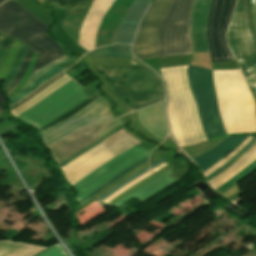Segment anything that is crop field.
Segmentation results:
<instances>
[{
    "label": "crop field",
    "mask_w": 256,
    "mask_h": 256,
    "mask_svg": "<svg viewBox=\"0 0 256 256\" xmlns=\"http://www.w3.org/2000/svg\"><path fill=\"white\" fill-rule=\"evenodd\" d=\"M109 111L108 106L99 98L69 117L60 125L42 134L47 147L86 126L96 118ZM114 119L110 111L96 119L86 127L51 146L52 156L58 164L87 147L97 139L100 128Z\"/></svg>",
    "instance_id": "obj_1"
},
{
    "label": "crop field",
    "mask_w": 256,
    "mask_h": 256,
    "mask_svg": "<svg viewBox=\"0 0 256 256\" xmlns=\"http://www.w3.org/2000/svg\"><path fill=\"white\" fill-rule=\"evenodd\" d=\"M179 68L183 67L164 68L160 69V71L168 90V99L165 108L168 129L172 138L180 145V147H182L203 142L205 140L202 139H206V136L202 129L196 104L189 88L187 68H184L180 69V78L184 93L189 102L194 125L202 141L199 140L196 133L191 119L187 99L182 90L179 78Z\"/></svg>",
    "instance_id": "obj_2"
},
{
    "label": "crop field",
    "mask_w": 256,
    "mask_h": 256,
    "mask_svg": "<svg viewBox=\"0 0 256 256\" xmlns=\"http://www.w3.org/2000/svg\"><path fill=\"white\" fill-rule=\"evenodd\" d=\"M0 31L24 41L39 54L32 73L64 55L61 47L47 35V26L12 0L0 6Z\"/></svg>",
    "instance_id": "obj_3"
},
{
    "label": "crop field",
    "mask_w": 256,
    "mask_h": 256,
    "mask_svg": "<svg viewBox=\"0 0 256 256\" xmlns=\"http://www.w3.org/2000/svg\"><path fill=\"white\" fill-rule=\"evenodd\" d=\"M104 69L120 97L127 96L126 78L129 100L134 110L164 99L165 91L159 77L147 66H117Z\"/></svg>",
    "instance_id": "obj_4"
},
{
    "label": "crop field",
    "mask_w": 256,
    "mask_h": 256,
    "mask_svg": "<svg viewBox=\"0 0 256 256\" xmlns=\"http://www.w3.org/2000/svg\"><path fill=\"white\" fill-rule=\"evenodd\" d=\"M252 0H238L227 40L256 100V36L251 18ZM231 51V52H232Z\"/></svg>",
    "instance_id": "obj_5"
},
{
    "label": "crop field",
    "mask_w": 256,
    "mask_h": 256,
    "mask_svg": "<svg viewBox=\"0 0 256 256\" xmlns=\"http://www.w3.org/2000/svg\"><path fill=\"white\" fill-rule=\"evenodd\" d=\"M193 0H173L158 31V56L192 54L190 12Z\"/></svg>",
    "instance_id": "obj_6"
},
{
    "label": "crop field",
    "mask_w": 256,
    "mask_h": 256,
    "mask_svg": "<svg viewBox=\"0 0 256 256\" xmlns=\"http://www.w3.org/2000/svg\"><path fill=\"white\" fill-rule=\"evenodd\" d=\"M140 143L123 129L62 167L65 178L74 185L116 155Z\"/></svg>",
    "instance_id": "obj_7"
},
{
    "label": "crop field",
    "mask_w": 256,
    "mask_h": 256,
    "mask_svg": "<svg viewBox=\"0 0 256 256\" xmlns=\"http://www.w3.org/2000/svg\"><path fill=\"white\" fill-rule=\"evenodd\" d=\"M188 77L208 139L226 136L217 105L212 70L190 65Z\"/></svg>",
    "instance_id": "obj_8"
},
{
    "label": "crop field",
    "mask_w": 256,
    "mask_h": 256,
    "mask_svg": "<svg viewBox=\"0 0 256 256\" xmlns=\"http://www.w3.org/2000/svg\"><path fill=\"white\" fill-rule=\"evenodd\" d=\"M85 98L82 88L72 80L17 117L39 129Z\"/></svg>",
    "instance_id": "obj_9"
},
{
    "label": "crop field",
    "mask_w": 256,
    "mask_h": 256,
    "mask_svg": "<svg viewBox=\"0 0 256 256\" xmlns=\"http://www.w3.org/2000/svg\"><path fill=\"white\" fill-rule=\"evenodd\" d=\"M235 0H213L208 20L207 40L211 61L234 60L227 46L226 28Z\"/></svg>",
    "instance_id": "obj_10"
},
{
    "label": "crop field",
    "mask_w": 256,
    "mask_h": 256,
    "mask_svg": "<svg viewBox=\"0 0 256 256\" xmlns=\"http://www.w3.org/2000/svg\"><path fill=\"white\" fill-rule=\"evenodd\" d=\"M149 152L148 149L133 147L99 167L74 185L79 193L77 200L80 201L115 175L145 158Z\"/></svg>",
    "instance_id": "obj_11"
},
{
    "label": "crop field",
    "mask_w": 256,
    "mask_h": 256,
    "mask_svg": "<svg viewBox=\"0 0 256 256\" xmlns=\"http://www.w3.org/2000/svg\"><path fill=\"white\" fill-rule=\"evenodd\" d=\"M171 0H154L147 10L133 44V51L138 58L157 56L156 35Z\"/></svg>",
    "instance_id": "obj_12"
},
{
    "label": "crop field",
    "mask_w": 256,
    "mask_h": 256,
    "mask_svg": "<svg viewBox=\"0 0 256 256\" xmlns=\"http://www.w3.org/2000/svg\"><path fill=\"white\" fill-rule=\"evenodd\" d=\"M212 0H196L191 18L194 52H209L206 40V25Z\"/></svg>",
    "instance_id": "obj_13"
},
{
    "label": "crop field",
    "mask_w": 256,
    "mask_h": 256,
    "mask_svg": "<svg viewBox=\"0 0 256 256\" xmlns=\"http://www.w3.org/2000/svg\"><path fill=\"white\" fill-rule=\"evenodd\" d=\"M150 1L135 0L117 31L115 43L131 44L137 24Z\"/></svg>",
    "instance_id": "obj_14"
},
{
    "label": "crop field",
    "mask_w": 256,
    "mask_h": 256,
    "mask_svg": "<svg viewBox=\"0 0 256 256\" xmlns=\"http://www.w3.org/2000/svg\"><path fill=\"white\" fill-rule=\"evenodd\" d=\"M248 137L246 135H235L232 136L220 144H218L212 150L193 158L192 160L202 169L206 171L208 168L213 166L219 160H221L225 155H227L231 150L240 145L243 140Z\"/></svg>",
    "instance_id": "obj_15"
},
{
    "label": "crop field",
    "mask_w": 256,
    "mask_h": 256,
    "mask_svg": "<svg viewBox=\"0 0 256 256\" xmlns=\"http://www.w3.org/2000/svg\"><path fill=\"white\" fill-rule=\"evenodd\" d=\"M164 101L137 112L140 123L160 139H164L166 128L162 105Z\"/></svg>",
    "instance_id": "obj_16"
},
{
    "label": "crop field",
    "mask_w": 256,
    "mask_h": 256,
    "mask_svg": "<svg viewBox=\"0 0 256 256\" xmlns=\"http://www.w3.org/2000/svg\"><path fill=\"white\" fill-rule=\"evenodd\" d=\"M171 173L172 172H170L168 170L167 172L157 176L153 180L149 181L148 183L144 184L137 190H135L132 193H130L129 195H127L125 198H123L122 200L117 202L115 205L118 206V205L122 204L125 200H127L133 196L138 198L141 201L146 199L150 195L156 193L157 191L161 190L162 188L166 187L167 185H169L170 183H172L176 180V179L168 176Z\"/></svg>",
    "instance_id": "obj_17"
},
{
    "label": "crop field",
    "mask_w": 256,
    "mask_h": 256,
    "mask_svg": "<svg viewBox=\"0 0 256 256\" xmlns=\"http://www.w3.org/2000/svg\"><path fill=\"white\" fill-rule=\"evenodd\" d=\"M44 248L0 241V256H34Z\"/></svg>",
    "instance_id": "obj_18"
},
{
    "label": "crop field",
    "mask_w": 256,
    "mask_h": 256,
    "mask_svg": "<svg viewBox=\"0 0 256 256\" xmlns=\"http://www.w3.org/2000/svg\"><path fill=\"white\" fill-rule=\"evenodd\" d=\"M70 80H72V79H70L66 75L61 77L60 79L56 80L52 84L48 85L46 88H44L41 92H39L36 96H34L29 101L25 102L24 104L18 106L15 109L11 110L12 114L15 116L21 114L22 112L26 111L27 109H29L30 107L35 105L37 102L42 100L44 97L49 95L51 92L56 90L58 87H60L61 85L65 84L66 82H68Z\"/></svg>",
    "instance_id": "obj_19"
},
{
    "label": "crop field",
    "mask_w": 256,
    "mask_h": 256,
    "mask_svg": "<svg viewBox=\"0 0 256 256\" xmlns=\"http://www.w3.org/2000/svg\"><path fill=\"white\" fill-rule=\"evenodd\" d=\"M71 60H73V59L70 58L69 60H67V61L63 62L62 64L56 66L55 68L49 70L44 75H42L40 78H38L37 80L32 82L26 89L22 90L20 93H18L17 95L13 96L12 98H10L11 104L12 105L15 104L16 102H18L19 100H21L22 98H24L25 96L30 94L32 91H34L35 89L40 87L46 81L51 79L53 76H55L59 72L63 71L64 69L60 68V67L64 66L65 64H67Z\"/></svg>",
    "instance_id": "obj_20"
},
{
    "label": "crop field",
    "mask_w": 256,
    "mask_h": 256,
    "mask_svg": "<svg viewBox=\"0 0 256 256\" xmlns=\"http://www.w3.org/2000/svg\"><path fill=\"white\" fill-rule=\"evenodd\" d=\"M255 149H256V146L254 148H252L246 155H244L239 161H237L232 167H230L224 173H222L221 175H219L216 178L209 181L210 184L214 186L213 188L215 189V188L219 187L222 183L229 180L231 177H233L235 174H237L240 170H242L244 167H246L249 163H251L253 160H255L256 159V150ZM251 152H253V153L251 155H249ZM245 157H247V158L244 159ZM237 164H239V165L234 170H232ZM229 171H231V172L229 174H227ZM225 174H227V175L225 177H223Z\"/></svg>",
    "instance_id": "obj_21"
},
{
    "label": "crop field",
    "mask_w": 256,
    "mask_h": 256,
    "mask_svg": "<svg viewBox=\"0 0 256 256\" xmlns=\"http://www.w3.org/2000/svg\"><path fill=\"white\" fill-rule=\"evenodd\" d=\"M92 55L115 57V58H131L130 46L112 45L89 52Z\"/></svg>",
    "instance_id": "obj_22"
},
{
    "label": "crop field",
    "mask_w": 256,
    "mask_h": 256,
    "mask_svg": "<svg viewBox=\"0 0 256 256\" xmlns=\"http://www.w3.org/2000/svg\"><path fill=\"white\" fill-rule=\"evenodd\" d=\"M27 48L28 47L24 43H22V45H21V47L19 49V52H18V54L16 56V59H15L13 65H12L8 75H7V78H6V80L4 81V83L1 86V90H2L3 93H5L7 91V89L9 88V86L11 84V82L13 81V79H14V77H15L18 69H19L21 60H22V58H23Z\"/></svg>",
    "instance_id": "obj_23"
},
{
    "label": "crop field",
    "mask_w": 256,
    "mask_h": 256,
    "mask_svg": "<svg viewBox=\"0 0 256 256\" xmlns=\"http://www.w3.org/2000/svg\"><path fill=\"white\" fill-rule=\"evenodd\" d=\"M256 145V138L253 137L246 145L245 147L236 154L233 158H231L228 162H226L224 165H222L220 168H218L216 171H214L212 174H210L207 178V180H211L215 176L219 175L226 169H228L230 166H232L237 160H239L245 153H247L252 147Z\"/></svg>",
    "instance_id": "obj_24"
},
{
    "label": "crop field",
    "mask_w": 256,
    "mask_h": 256,
    "mask_svg": "<svg viewBox=\"0 0 256 256\" xmlns=\"http://www.w3.org/2000/svg\"><path fill=\"white\" fill-rule=\"evenodd\" d=\"M98 93H94L91 96H89L87 99H85L84 101H82L81 103H79L77 106H75L73 109H71L70 111H68L67 113L63 114L62 116H60L59 118H57L56 120H54L53 122H51L50 124L46 125L45 127H43L42 129H40L41 133H44L45 131L49 130L50 128H52L53 126L63 122L65 119H67L69 116H71L72 114H74L75 112H77L78 110H80L81 108H83L84 106H86L87 104H89L90 102H92L93 100H95L98 97Z\"/></svg>",
    "instance_id": "obj_25"
},
{
    "label": "crop field",
    "mask_w": 256,
    "mask_h": 256,
    "mask_svg": "<svg viewBox=\"0 0 256 256\" xmlns=\"http://www.w3.org/2000/svg\"><path fill=\"white\" fill-rule=\"evenodd\" d=\"M21 41L15 39L9 53L7 54V56L5 57L4 61L2 62L1 66H0V80L5 79L14 59L15 56L18 52V49L21 45Z\"/></svg>",
    "instance_id": "obj_26"
},
{
    "label": "crop field",
    "mask_w": 256,
    "mask_h": 256,
    "mask_svg": "<svg viewBox=\"0 0 256 256\" xmlns=\"http://www.w3.org/2000/svg\"><path fill=\"white\" fill-rule=\"evenodd\" d=\"M254 170H256V160L252 162L250 165H248L246 168H244L241 172H239L236 176H234L232 179L227 181L225 184L220 186L219 188L215 189L220 194L229 189L231 186H233L235 183L252 173Z\"/></svg>",
    "instance_id": "obj_27"
},
{
    "label": "crop field",
    "mask_w": 256,
    "mask_h": 256,
    "mask_svg": "<svg viewBox=\"0 0 256 256\" xmlns=\"http://www.w3.org/2000/svg\"><path fill=\"white\" fill-rule=\"evenodd\" d=\"M34 51H32L31 49H28L27 53L25 54L23 60H22V63H21V66H20V69H19V72L16 76V78L14 79L11 87L8 89L7 91V95L12 92L21 82L27 68H28V65L30 63V60L32 58V55H33Z\"/></svg>",
    "instance_id": "obj_28"
},
{
    "label": "crop field",
    "mask_w": 256,
    "mask_h": 256,
    "mask_svg": "<svg viewBox=\"0 0 256 256\" xmlns=\"http://www.w3.org/2000/svg\"><path fill=\"white\" fill-rule=\"evenodd\" d=\"M50 3L59 7H68V10L75 8H89L92 0H49Z\"/></svg>",
    "instance_id": "obj_29"
},
{
    "label": "crop field",
    "mask_w": 256,
    "mask_h": 256,
    "mask_svg": "<svg viewBox=\"0 0 256 256\" xmlns=\"http://www.w3.org/2000/svg\"><path fill=\"white\" fill-rule=\"evenodd\" d=\"M169 168H171V166H166L164 168H162L161 170L155 172L154 174H152L151 176H149L148 178H146L145 180L131 186L130 188H128L127 190H125L123 193H121L119 196H117L115 199L111 200L110 202L107 203V205L111 206L114 203H116L117 201H119L120 199H122L124 196H126L127 194H129L130 192H132L133 190H135L136 188L140 187L141 185H143L144 183L148 182L149 180H151L152 178L156 177L157 175L161 174L162 172L168 170Z\"/></svg>",
    "instance_id": "obj_30"
},
{
    "label": "crop field",
    "mask_w": 256,
    "mask_h": 256,
    "mask_svg": "<svg viewBox=\"0 0 256 256\" xmlns=\"http://www.w3.org/2000/svg\"><path fill=\"white\" fill-rule=\"evenodd\" d=\"M148 166V162L138 166L137 168L133 169L132 171H130L129 173H127L126 175L122 176L121 178H119L118 180H116L115 182L111 183L110 185H108L106 188H104L101 192H99L96 196H94V198H99L100 196H102L103 194H105L107 191H109L111 188H113L115 185H117L118 183L122 182L123 180L127 179L128 177H130L131 175L135 174L136 172L140 171L141 169H143L144 167Z\"/></svg>",
    "instance_id": "obj_31"
},
{
    "label": "crop field",
    "mask_w": 256,
    "mask_h": 256,
    "mask_svg": "<svg viewBox=\"0 0 256 256\" xmlns=\"http://www.w3.org/2000/svg\"><path fill=\"white\" fill-rule=\"evenodd\" d=\"M148 160V157L141 160L140 162L136 163L135 165H133L132 167L128 168L127 170H125L124 172L120 173L119 175H117L116 177H114L113 179H111L110 181H108L107 183H105L104 185H102L101 187H99L98 189H96L95 191H93L91 194H89L87 197H85L80 204L82 205L83 203H85L87 200H89L91 197H93L96 193H98L100 190H102L104 187H106L108 184H110L111 182L115 181L116 179H118L119 177H121L122 175L126 174L127 172H129L130 170H132L133 168L137 167L138 165H140L141 163L145 162Z\"/></svg>",
    "instance_id": "obj_32"
},
{
    "label": "crop field",
    "mask_w": 256,
    "mask_h": 256,
    "mask_svg": "<svg viewBox=\"0 0 256 256\" xmlns=\"http://www.w3.org/2000/svg\"><path fill=\"white\" fill-rule=\"evenodd\" d=\"M69 58L63 56L62 58L44 66L43 68L39 69L37 72H35L33 75L30 76L29 80L27 81L26 85L24 86L27 87L33 80H35L37 77H39L41 74L45 73L46 71H48L49 69L55 67L56 65L62 63L63 61L67 60ZM23 88V89H24Z\"/></svg>",
    "instance_id": "obj_33"
},
{
    "label": "crop field",
    "mask_w": 256,
    "mask_h": 256,
    "mask_svg": "<svg viewBox=\"0 0 256 256\" xmlns=\"http://www.w3.org/2000/svg\"><path fill=\"white\" fill-rule=\"evenodd\" d=\"M251 137H248L234 152L223 158L220 162H218L216 165L211 167L209 170L204 172L205 176L209 175L212 173L214 170H216L218 167H220L222 164H224L226 161H228L231 157H233L237 152H239L242 147L250 140Z\"/></svg>",
    "instance_id": "obj_34"
},
{
    "label": "crop field",
    "mask_w": 256,
    "mask_h": 256,
    "mask_svg": "<svg viewBox=\"0 0 256 256\" xmlns=\"http://www.w3.org/2000/svg\"><path fill=\"white\" fill-rule=\"evenodd\" d=\"M37 55H38V54L34 53L33 58H32V60H31V63H30V65H29V68H28V70H27V73H26V75H25V77H24L22 83H21L12 93H10V94L8 95L9 98L12 97L13 95H15L16 93H18V92L22 89V87L25 85L26 81L28 80V78H29V76H30V74H31V71H32L33 65H34V63H35V60H36Z\"/></svg>",
    "instance_id": "obj_35"
},
{
    "label": "crop field",
    "mask_w": 256,
    "mask_h": 256,
    "mask_svg": "<svg viewBox=\"0 0 256 256\" xmlns=\"http://www.w3.org/2000/svg\"><path fill=\"white\" fill-rule=\"evenodd\" d=\"M150 170L149 166L146 167L145 169L141 170L140 172L136 173L135 175L131 176L130 178H128L127 180L123 181L122 183L118 184L116 187H114L112 190H110L108 193H106L104 196H102L100 199L98 200H103L104 198H106L107 196H109L111 193H113L114 191H116L117 189H119L120 187H122L123 185H125L126 183H128L129 181L133 180L134 178H136L137 176L141 175L142 173L146 172Z\"/></svg>",
    "instance_id": "obj_36"
},
{
    "label": "crop field",
    "mask_w": 256,
    "mask_h": 256,
    "mask_svg": "<svg viewBox=\"0 0 256 256\" xmlns=\"http://www.w3.org/2000/svg\"><path fill=\"white\" fill-rule=\"evenodd\" d=\"M120 125H122V122L120 121V119L119 118L114 119L113 121H111L109 124L105 125L102 128L101 133H100V138Z\"/></svg>",
    "instance_id": "obj_37"
},
{
    "label": "crop field",
    "mask_w": 256,
    "mask_h": 256,
    "mask_svg": "<svg viewBox=\"0 0 256 256\" xmlns=\"http://www.w3.org/2000/svg\"><path fill=\"white\" fill-rule=\"evenodd\" d=\"M38 256H66L58 245H55Z\"/></svg>",
    "instance_id": "obj_38"
},
{
    "label": "crop field",
    "mask_w": 256,
    "mask_h": 256,
    "mask_svg": "<svg viewBox=\"0 0 256 256\" xmlns=\"http://www.w3.org/2000/svg\"><path fill=\"white\" fill-rule=\"evenodd\" d=\"M63 73H60L59 75H57L56 77H54L53 79H51L50 81H48L47 83H45L44 85H42L40 88H38L36 91H34L32 94H30L28 97H26L24 100L18 102L17 104L12 106V109L17 107L18 105L22 104L23 102L29 100L31 97H33L35 94H37L39 91H41L44 87H46L48 84H50L51 82L55 81L56 79L60 78L61 76H63Z\"/></svg>",
    "instance_id": "obj_39"
},
{
    "label": "crop field",
    "mask_w": 256,
    "mask_h": 256,
    "mask_svg": "<svg viewBox=\"0 0 256 256\" xmlns=\"http://www.w3.org/2000/svg\"><path fill=\"white\" fill-rule=\"evenodd\" d=\"M13 38L3 34V33H0V47L1 48H4V49H10L12 43H13Z\"/></svg>",
    "instance_id": "obj_40"
},
{
    "label": "crop field",
    "mask_w": 256,
    "mask_h": 256,
    "mask_svg": "<svg viewBox=\"0 0 256 256\" xmlns=\"http://www.w3.org/2000/svg\"><path fill=\"white\" fill-rule=\"evenodd\" d=\"M100 141L97 140L96 142H94L93 144H91L90 146H88L87 148L83 149L82 151L76 153L75 155H73L72 157L68 158L67 160H65L64 162H62L61 164H59L61 167L64 166L66 163H68L69 161L73 160L74 158L78 157L79 155H81L82 153L86 152L87 150H89L90 148H92L93 146H95L96 144H98Z\"/></svg>",
    "instance_id": "obj_41"
},
{
    "label": "crop field",
    "mask_w": 256,
    "mask_h": 256,
    "mask_svg": "<svg viewBox=\"0 0 256 256\" xmlns=\"http://www.w3.org/2000/svg\"><path fill=\"white\" fill-rule=\"evenodd\" d=\"M8 53V50H4L0 48V64L3 61L4 57L6 56V54Z\"/></svg>",
    "instance_id": "obj_42"
},
{
    "label": "crop field",
    "mask_w": 256,
    "mask_h": 256,
    "mask_svg": "<svg viewBox=\"0 0 256 256\" xmlns=\"http://www.w3.org/2000/svg\"><path fill=\"white\" fill-rule=\"evenodd\" d=\"M124 128L123 125L114 129L113 131H111L110 133H108L106 136H104L103 138H101L102 140L106 139L107 137H109L110 135L114 134L115 132H117L118 130Z\"/></svg>",
    "instance_id": "obj_43"
},
{
    "label": "crop field",
    "mask_w": 256,
    "mask_h": 256,
    "mask_svg": "<svg viewBox=\"0 0 256 256\" xmlns=\"http://www.w3.org/2000/svg\"><path fill=\"white\" fill-rule=\"evenodd\" d=\"M163 161H164V160L161 158V159H159L158 161H156V162L150 164V166H151V168H154V167H156L157 165H159L160 163H162Z\"/></svg>",
    "instance_id": "obj_44"
},
{
    "label": "crop field",
    "mask_w": 256,
    "mask_h": 256,
    "mask_svg": "<svg viewBox=\"0 0 256 256\" xmlns=\"http://www.w3.org/2000/svg\"><path fill=\"white\" fill-rule=\"evenodd\" d=\"M165 165H167V164L164 162V163L160 164L158 167H156L152 170L155 172V171L159 170L160 168L164 167Z\"/></svg>",
    "instance_id": "obj_45"
},
{
    "label": "crop field",
    "mask_w": 256,
    "mask_h": 256,
    "mask_svg": "<svg viewBox=\"0 0 256 256\" xmlns=\"http://www.w3.org/2000/svg\"><path fill=\"white\" fill-rule=\"evenodd\" d=\"M3 1H5V0H0V3H2Z\"/></svg>",
    "instance_id": "obj_46"
},
{
    "label": "crop field",
    "mask_w": 256,
    "mask_h": 256,
    "mask_svg": "<svg viewBox=\"0 0 256 256\" xmlns=\"http://www.w3.org/2000/svg\"><path fill=\"white\" fill-rule=\"evenodd\" d=\"M3 112L2 109L0 108V113Z\"/></svg>",
    "instance_id": "obj_47"
}]
</instances>
